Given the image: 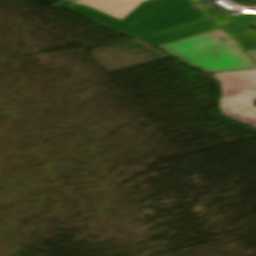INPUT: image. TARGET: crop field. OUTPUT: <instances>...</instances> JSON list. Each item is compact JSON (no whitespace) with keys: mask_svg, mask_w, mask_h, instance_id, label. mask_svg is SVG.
<instances>
[{"mask_svg":"<svg viewBox=\"0 0 256 256\" xmlns=\"http://www.w3.org/2000/svg\"><path fill=\"white\" fill-rule=\"evenodd\" d=\"M71 5L75 12L127 35L210 12L195 0H152L139 6L120 22L89 7ZM227 12L229 14L232 11L228 10ZM251 21L254 22L251 23ZM225 28L256 29V14L247 13L246 16L235 18ZM220 29L207 21L141 40L159 47Z\"/></svg>","mask_w":256,"mask_h":256,"instance_id":"crop-field-1","label":"crop field"},{"mask_svg":"<svg viewBox=\"0 0 256 256\" xmlns=\"http://www.w3.org/2000/svg\"><path fill=\"white\" fill-rule=\"evenodd\" d=\"M159 48L204 73L256 68L244 52L256 49V30L224 29Z\"/></svg>","mask_w":256,"mask_h":256,"instance_id":"crop-field-2","label":"crop field"},{"mask_svg":"<svg viewBox=\"0 0 256 256\" xmlns=\"http://www.w3.org/2000/svg\"><path fill=\"white\" fill-rule=\"evenodd\" d=\"M246 53L256 63V50ZM213 76L221 85L222 113L232 120L256 128V69L227 71Z\"/></svg>","mask_w":256,"mask_h":256,"instance_id":"crop-field-3","label":"crop field"},{"mask_svg":"<svg viewBox=\"0 0 256 256\" xmlns=\"http://www.w3.org/2000/svg\"><path fill=\"white\" fill-rule=\"evenodd\" d=\"M143 1L145 0H75L70 2L96 8L122 20Z\"/></svg>","mask_w":256,"mask_h":256,"instance_id":"crop-field-4","label":"crop field"},{"mask_svg":"<svg viewBox=\"0 0 256 256\" xmlns=\"http://www.w3.org/2000/svg\"><path fill=\"white\" fill-rule=\"evenodd\" d=\"M66 1H69V0H66Z\"/></svg>","mask_w":256,"mask_h":256,"instance_id":"crop-field-5","label":"crop field"}]
</instances>
